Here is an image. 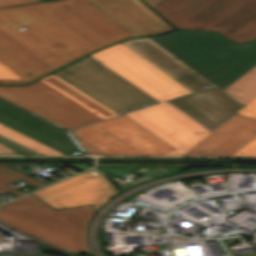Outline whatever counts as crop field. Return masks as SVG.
Here are the masks:
<instances>
[{
  "label": "crop field",
  "mask_w": 256,
  "mask_h": 256,
  "mask_svg": "<svg viewBox=\"0 0 256 256\" xmlns=\"http://www.w3.org/2000/svg\"><path fill=\"white\" fill-rule=\"evenodd\" d=\"M24 30H17L18 27ZM0 30L53 70L131 33L87 0L0 8Z\"/></svg>",
  "instance_id": "8a807250"
},
{
  "label": "crop field",
  "mask_w": 256,
  "mask_h": 256,
  "mask_svg": "<svg viewBox=\"0 0 256 256\" xmlns=\"http://www.w3.org/2000/svg\"><path fill=\"white\" fill-rule=\"evenodd\" d=\"M149 38L223 90L256 65V41L235 45L214 33L192 31Z\"/></svg>",
  "instance_id": "ac0d7876"
},
{
  "label": "crop field",
  "mask_w": 256,
  "mask_h": 256,
  "mask_svg": "<svg viewBox=\"0 0 256 256\" xmlns=\"http://www.w3.org/2000/svg\"><path fill=\"white\" fill-rule=\"evenodd\" d=\"M122 42L194 92L167 102L209 130L215 129L244 106L148 37ZM205 85L211 88L206 89Z\"/></svg>",
  "instance_id": "34b2d1b8"
},
{
  "label": "crop field",
  "mask_w": 256,
  "mask_h": 256,
  "mask_svg": "<svg viewBox=\"0 0 256 256\" xmlns=\"http://www.w3.org/2000/svg\"><path fill=\"white\" fill-rule=\"evenodd\" d=\"M92 205L55 210L29 193L0 205V221L71 253H90L87 229Z\"/></svg>",
  "instance_id": "412701ff"
},
{
  "label": "crop field",
  "mask_w": 256,
  "mask_h": 256,
  "mask_svg": "<svg viewBox=\"0 0 256 256\" xmlns=\"http://www.w3.org/2000/svg\"><path fill=\"white\" fill-rule=\"evenodd\" d=\"M0 97L66 129L117 115L53 74L26 86H0Z\"/></svg>",
  "instance_id": "f4fd0767"
},
{
  "label": "crop field",
  "mask_w": 256,
  "mask_h": 256,
  "mask_svg": "<svg viewBox=\"0 0 256 256\" xmlns=\"http://www.w3.org/2000/svg\"><path fill=\"white\" fill-rule=\"evenodd\" d=\"M152 8L176 29L217 31L234 42L256 38V0H163Z\"/></svg>",
  "instance_id": "dd49c442"
},
{
  "label": "crop field",
  "mask_w": 256,
  "mask_h": 256,
  "mask_svg": "<svg viewBox=\"0 0 256 256\" xmlns=\"http://www.w3.org/2000/svg\"><path fill=\"white\" fill-rule=\"evenodd\" d=\"M53 74L118 114L158 103L89 56Z\"/></svg>",
  "instance_id": "e52e79f7"
},
{
  "label": "crop field",
  "mask_w": 256,
  "mask_h": 256,
  "mask_svg": "<svg viewBox=\"0 0 256 256\" xmlns=\"http://www.w3.org/2000/svg\"><path fill=\"white\" fill-rule=\"evenodd\" d=\"M70 132L106 155L162 156L174 149L124 114Z\"/></svg>",
  "instance_id": "d8731c3e"
},
{
  "label": "crop field",
  "mask_w": 256,
  "mask_h": 256,
  "mask_svg": "<svg viewBox=\"0 0 256 256\" xmlns=\"http://www.w3.org/2000/svg\"><path fill=\"white\" fill-rule=\"evenodd\" d=\"M89 56L159 102L190 93L121 42Z\"/></svg>",
  "instance_id": "5a996713"
},
{
  "label": "crop field",
  "mask_w": 256,
  "mask_h": 256,
  "mask_svg": "<svg viewBox=\"0 0 256 256\" xmlns=\"http://www.w3.org/2000/svg\"><path fill=\"white\" fill-rule=\"evenodd\" d=\"M169 104H156L126 115L176 148L164 156H180L211 131Z\"/></svg>",
  "instance_id": "3316defc"
},
{
  "label": "crop field",
  "mask_w": 256,
  "mask_h": 256,
  "mask_svg": "<svg viewBox=\"0 0 256 256\" xmlns=\"http://www.w3.org/2000/svg\"><path fill=\"white\" fill-rule=\"evenodd\" d=\"M256 137V119L235 114L181 156H231Z\"/></svg>",
  "instance_id": "28ad6ade"
},
{
  "label": "crop field",
  "mask_w": 256,
  "mask_h": 256,
  "mask_svg": "<svg viewBox=\"0 0 256 256\" xmlns=\"http://www.w3.org/2000/svg\"><path fill=\"white\" fill-rule=\"evenodd\" d=\"M135 36L173 30L140 0H89Z\"/></svg>",
  "instance_id": "d1516ede"
},
{
  "label": "crop field",
  "mask_w": 256,
  "mask_h": 256,
  "mask_svg": "<svg viewBox=\"0 0 256 256\" xmlns=\"http://www.w3.org/2000/svg\"><path fill=\"white\" fill-rule=\"evenodd\" d=\"M52 71L0 31V83L21 84Z\"/></svg>",
  "instance_id": "22f410ed"
},
{
  "label": "crop field",
  "mask_w": 256,
  "mask_h": 256,
  "mask_svg": "<svg viewBox=\"0 0 256 256\" xmlns=\"http://www.w3.org/2000/svg\"><path fill=\"white\" fill-rule=\"evenodd\" d=\"M70 178L93 194L102 205L110 200L109 196L116 194L115 188L99 172L89 170Z\"/></svg>",
  "instance_id": "cbeb9de0"
},
{
  "label": "crop field",
  "mask_w": 256,
  "mask_h": 256,
  "mask_svg": "<svg viewBox=\"0 0 256 256\" xmlns=\"http://www.w3.org/2000/svg\"><path fill=\"white\" fill-rule=\"evenodd\" d=\"M51 186L78 206L93 204L95 211L102 207L94 196L69 178Z\"/></svg>",
  "instance_id": "5142ce71"
},
{
  "label": "crop field",
  "mask_w": 256,
  "mask_h": 256,
  "mask_svg": "<svg viewBox=\"0 0 256 256\" xmlns=\"http://www.w3.org/2000/svg\"><path fill=\"white\" fill-rule=\"evenodd\" d=\"M224 91L244 105L252 100L256 96V66Z\"/></svg>",
  "instance_id": "d9b57169"
},
{
  "label": "crop field",
  "mask_w": 256,
  "mask_h": 256,
  "mask_svg": "<svg viewBox=\"0 0 256 256\" xmlns=\"http://www.w3.org/2000/svg\"><path fill=\"white\" fill-rule=\"evenodd\" d=\"M0 135L29 147L43 155H64L0 123Z\"/></svg>",
  "instance_id": "733c2abd"
},
{
  "label": "crop field",
  "mask_w": 256,
  "mask_h": 256,
  "mask_svg": "<svg viewBox=\"0 0 256 256\" xmlns=\"http://www.w3.org/2000/svg\"><path fill=\"white\" fill-rule=\"evenodd\" d=\"M19 178L31 183L30 185H28L29 187H31L33 185H35L37 187L45 185L37 180H34L26 175H23L17 171H14L6 166H0V195L7 193V192H10L16 196L23 195L19 191L5 185V184L15 181Z\"/></svg>",
  "instance_id": "4a817a6b"
},
{
  "label": "crop field",
  "mask_w": 256,
  "mask_h": 256,
  "mask_svg": "<svg viewBox=\"0 0 256 256\" xmlns=\"http://www.w3.org/2000/svg\"><path fill=\"white\" fill-rule=\"evenodd\" d=\"M35 196L40 198L42 201L52 206L55 209L74 207L76 206L70 200L65 198L63 195L58 193L52 187L48 186L43 189L32 192Z\"/></svg>",
  "instance_id": "bc2a9ffb"
},
{
  "label": "crop field",
  "mask_w": 256,
  "mask_h": 256,
  "mask_svg": "<svg viewBox=\"0 0 256 256\" xmlns=\"http://www.w3.org/2000/svg\"><path fill=\"white\" fill-rule=\"evenodd\" d=\"M0 143L18 151V152H20L24 155H40V154L22 146V145H20L16 142H13V141H11V140L3 137V136H0Z\"/></svg>",
  "instance_id": "214f88e0"
},
{
  "label": "crop field",
  "mask_w": 256,
  "mask_h": 256,
  "mask_svg": "<svg viewBox=\"0 0 256 256\" xmlns=\"http://www.w3.org/2000/svg\"><path fill=\"white\" fill-rule=\"evenodd\" d=\"M232 156H256V138Z\"/></svg>",
  "instance_id": "92a150f3"
},
{
  "label": "crop field",
  "mask_w": 256,
  "mask_h": 256,
  "mask_svg": "<svg viewBox=\"0 0 256 256\" xmlns=\"http://www.w3.org/2000/svg\"><path fill=\"white\" fill-rule=\"evenodd\" d=\"M237 114L256 118V97L239 110Z\"/></svg>",
  "instance_id": "dafd665d"
},
{
  "label": "crop field",
  "mask_w": 256,
  "mask_h": 256,
  "mask_svg": "<svg viewBox=\"0 0 256 256\" xmlns=\"http://www.w3.org/2000/svg\"><path fill=\"white\" fill-rule=\"evenodd\" d=\"M75 136V135H74ZM76 137V136H75ZM77 141L80 143V145L83 147V149L86 151V153L88 155H104L103 153H101L100 151L88 146L87 144H85L83 141H81L79 138H77Z\"/></svg>",
  "instance_id": "00972430"
},
{
  "label": "crop field",
  "mask_w": 256,
  "mask_h": 256,
  "mask_svg": "<svg viewBox=\"0 0 256 256\" xmlns=\"http://www.w3.org/2000/svg\"><path fill=\"white\" fill-rule=\"evenodd\" d=\"M38 0H0V6L27 3V2H35Z\"/></svg>",
  "instance_id": "a9b5d70f"
},
{
  "label": "crop field",
  "mask_w": 256,
  "mask_h": 256,
  "mask_svg": "<svg viewBox=\"0 0 256 256\" xmlns=\"http://www.w3.org/2000/svg\"><path fill=\"white\" fill-rule=\"evenodd\" d=\"M0 153H17V152L0 144Z\"/></svg>",
  "instance_id": "4177f3b9"
},
{
  "label": "crop field",
  "mask_w": 256,
  "mask_h": 256,
  "mask_svg": "<svg viewBox=\"0 0 256 256\" xmlns=\"http://www.w3.org/2000/svg\"><path fill=\"white\" fill-rule=\"evenodd\" d=\"M147 4H149L151 7L155 4L159 3L162 0H144Z\"/></svg>",
  "instance_id": "730fd06b"
},
{
  "label": "crop field",
  "mask_w": 256,
  "mask_h": 256,
  "mask_svg": "<svg viewBox=\"0 0 256 256\" xmlns=\"http://www.w3.org/2000/svg\"><path fill=\"white\" fill-rule=\"evenodd\" d=\"M72 167H74V168H76V169H78V170H80V171H83V170H85V169L90 168L89 166H72Z\"/></svg>",
  "instance_id": "eef30255"
}]
</instances>
